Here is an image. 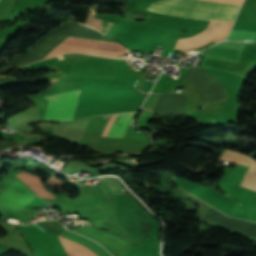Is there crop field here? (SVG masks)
Segmentation results:
<instances>
[{
  "label": "crop field",
  "mask_w": 256,
  "mask_h": 256,
  "mask_svg": "<svg viewBox=\"0 0 256 256\" xmlns=\"http://www.w3.org/2000/svg\"><path fill=\"white\" fill-rule=\"evenodd\" d=\"M240 5L211 0H160L147 10L161 14L233 22ZM211 21L203 32L179 39L175 49L197 48L212 40L219 42L227 36L232 23Z\"/></svg>",
  "instance_id": "1"
},
{
  "label": "crop field",
  "mask_w": 256,
  "mask_h": 256,
  "mask_svg": "<svg viewBox=\"0 0 256 256\" xmlns=\"http://www.w3.org/2000/svg\"><path fill=\"white\" fill-rule=\"evenodd\" d=\"M117 195V207H116V214L117 219L120 225H122L125 230L132 234L134 237H136L138 240H140L143 244L150 242L155 239V236L160 232L161 225L160 223L155 220L149 213H147L136 201L132 200L130 197H128L126 194H116ZM87 228H92L89 226H85ZM85 227H82L75 232H78L80 234H83L87 237H90L97 241L99 244H101L104 248H106L108 251H110L115 256H122V253L124 251L123 256H125L126 252L132 248H135L137 246L142 245L137 239H135L130 234H118L116 232H109L105 231L111 235H114L128 244L134 246L138 243V245L132 247L125 243L124 241L111 236L105 232H100L120 243L102 235L97 232H94L90 229H87Z\"/></svg>",
  "instance_id": "2"
},
{
  "label": "crop field",
  "mask_w": 256,
  "mask_h": 256,
  "mask_svg": "<svg viewBox=\"0 0 256 256\" xmlns=\"http://www.w3.org/2000/svg\"><path fill=\"white\" fill-rule=\"evenodd\" d=\"M57 48L94 52V53L114 55V56H120V57L131 56L127 52V50L118 43L74 38V37L68 38L66 41L60 44ZM60 49H55L53 52L51 51L52 53H50L46 58L53 57L65 52H77V51L60 50ZM86 52H82V53H86ZM94 53H87V54L102 56V57H114V56L100 55V54H94ZM120 57H115V58H120Z\"/></svg>",
  "instance_id": "3"
},
{
  "label": "crop field",
  "mask_w": 256,
  "mask_h": 256,
  "mask_svg": "<svg viewBox=\"0 0 256 256\" xmlns=\"http://www.w3.org/2000/svg\"><path fill=\"white\" fill-rule=\"evenodd\" d=\"M79 90L43 96L48 99L47 110L43 120L72 119Z\"/></svg>",
  "instance_id": "4"
},
{
  "label": "crop field",
  "mask_w": 256,
  "mask_h": 256,
  "mask_svg": "<svg viewBox=\"0 0 256 256\" xmlns=\"http://www.w3.org/2000/svg\"><path fill=\"white\" fill-rule=\"evenodd\" d=\"M27 187V186H26ZM17 179L0 195V205L13 210L23 209L37 196Z\"/></svg>",
  "instance_id": "5"
},
{
  "label": "crop field",
  "mask_w": 256,
  "mask_h": 256,
  "mask_svg": "<svg viewBox=\"0 0 256 256\" xmlns=\"http://www.w3.org/2000/svg\"><path fill=\"white\" fill-rule=\"evenodd\" d=\"M184 192L185 191L180 190L178 188V189H176L175 192L172 193V196L177 198ZM206 219H208L209 221H211L219 226H222L224 228L239 232L241 234H246V235L256 237V223H251V222H247V221H243V220L228 218L212 208H211Z\"/></svg>",
  "instance_id": "6"
},
{
  "label": "crop field",
  "mask_w": 256,
  "mask_h": 256,
  "mask_svg": "<svg viewBox=\"0 0 256 256\" xmlns=\"http://www.w3.org/2000/svg\"><path fill=\"white\" fill-rule=\"evenodd\" d=\"M134 112L112 115L102 136L123 137Z\"/></svg>",
  "instance_id": "7"
},
{
  "label": "crop field",
  "mask_w": 256,
  "mask_h": 256,
  "mask_svg": "<svg viewBox=\"0 0 256 256\" xmlns=\"http://www.w3.org/2000/svg\"><path fill=\"white\" fill-rule=\"evenodd\" d=\"M16 176L19 177L28 187H30L37 196L55 199L51 192L44 189L41 178L23 171Z\"/></svg>",
  "instance_id": "8"
},
{
  "label": "crop field",
  "mask_w": 256,
  "mask_h": 256,
  "mask_svg": "<svg viewBox=\"0 0 256 256\" xmlns=\"http://www.w3.org/2000/svg\"><path fill=\"white\" fill-rule=\"evenodd\" d=\"M239 50L230 49L224 47L212 46L208 49L206 55L216 56L224 59H230L236 61Z\"/></svg>",
  "instance_id": "9"
},
{
  "label": "crop field",
  "mask_w": 256,
  "mask_h": 256,
  "mask_svg": "<svg viewBox=\"0 0 256 256\" xmlns=\"http://www.w3.org/2000/svg\"><path fill=\"white\" fill-rule=\"evenodd\" d=\"M59 239H60L62 245L64 246V248L72 251L73 253H75L78 256H96L93 252H91V251H89V250H87V249L61 237V236H59ZM67 253L69 256H76L75 254H73L69 251H67Z\"/></svg>",
  "instance_id": "10"
},
{
  "label": "crop field",
  "mask_w": 256,
  "mask_h": 256,
  "mask_svg": "<svg viewBox=\"0 0 256 256\" xmlns=\"http://www.w3.org/2000/svg\"><path fill=\"white\" fill-rule=\"evenodd\" d=\"M43 230L58 236L65 228L61 226L59 221H43L36 223Z\"/></svg>",
  "instance_id": "11"
},
{
  "label": "crop field",
  "mask_w": 256,
  "mask_h": 256,
  "mask_svg": "<svg viewBox=\"0 0 256 256\" xmlns=\"http://www.w3.org/2000/svg\"><path fill=\"white\" fill-rule=\"evenodd\" d=\"M221 160H224V159H222V158H220ZM225 161H227V160H225Z\"/></svg>",
  "instance_id": "12"
}]
</instances>
